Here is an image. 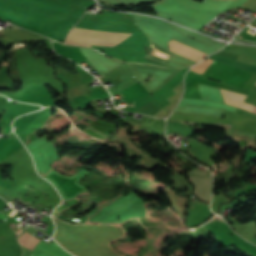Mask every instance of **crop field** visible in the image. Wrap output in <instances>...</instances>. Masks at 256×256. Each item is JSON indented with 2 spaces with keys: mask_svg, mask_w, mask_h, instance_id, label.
I'll list each match as a JSON object with an SVG mask.
<instances>
[{
  "mask_svg": "<svg viewBox=\"0 0 256 256\" xmlns=\"http://www.w3.org/2000/svg\"><path fill=\"white\" fill-rule=\"evenodd\" d=\"M70 34L87 36V37H95V38H103V39H111V40H119V41H123L124 39L129 37L126 35L101 33V32H93V31H85V30H77V29H72ZM71 35L67 36L66 44L86 46V47L93 48L94 45L114 47L116 44L120 43L119 41H111V40H103V39L71 36Z\"/></svg>",
  "mask_w": 256,
  "mask_h": 256,
  "instance_id": "8a807250",
  "label": "crop field"
},
{
  "mask_svg": "<svg viewBox=\"0 0 256 256\" xmlns=\"http://www.w3.org/2000/svg\"><path fill=\"white\" fill-rule=\"evenodd\" d=\"M169 46H170V50L175 52V53H178L182 56H185L189 59H192L196 62L200 61L202 58H204L207 54L205 53H202L200 51H197L195 49H192L190 47H187L183 44H180L174 40H171L169 42Z\"/></svg>",
  "mask_w": 256,
  "mask_h": 256,
  "instance_id": "ac0d7876",
  "label": "crop field"
},
{
  "mask_svg": "<svg viewBox=\"0 0 256 256\" xmlns=\"http://www.w3.org/2000/svg\"><path fill=\"white\" fill-rule=\"evenodd\" d=\"M221 90V89H220ZM224 102L235 107H241L256 113V106L244 103L245 95L221 90Z\"/></svg>",
  "mask_w": 256,
  "mask_h": 256,
  "instance_id": "34b2d1b8",
  "label": "crop field"
},
{
  "mask_svg": "<svg viewBox=\"0 0 256 256\" xmlns=\"http://www.w3.org/2000/svg\"><path fill=\"white\" fill-rule=\"evenodd\" d=\"M20 238V237H19ZM40 242V240L34 238L33 236L29 235L28 233H24L21 238L19 239V243L22 244L23 246L29 248V249H33L38 243Z\"/></svg>",
  "mask_w": 256,
  "mask_h": 256,
  "instance_id": "412701ff",
  "label": "crop field"
},
{
  "mask_svg": "<svg viewBox=\"0 0 256 256\" xmlns=\"http://www.w3.org/2000/svg\"><path fill=\"white\" fill-rule=\"evenodd\" d=\"M191 156H194L193 154H191L189 151H187Z\"/></svg>",
  "mask_w": 256,
  "mask_h": 256,
  "instance_id": "f4fd0767",
  "label": "crop field"
}]
</instances>
